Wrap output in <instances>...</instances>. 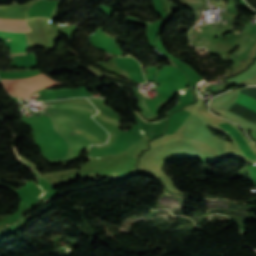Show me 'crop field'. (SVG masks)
<instances>
[{"label": "crop field", "mask_w": 256, "mask_h": 256, "mask_svg": "<svg viewBox=\"0 0 256 256\" xmlns=\"http://www.w3.org/2000/svg\"><path fill=\"white\" fill-rule=\"evenodd\" d=\"M5 89L11 94L29 99L31 94L47 86L56 85L52 79L44 74L21 80H1Z\"/></svg>", "instance_id": "8a807250"}, {"label": "crop field", "mask_w": 256, "mask_h": 256, "mask_svg": "<svg viewBox=\"0 0 256 256\" xmlns=\"http://www.w3.org/2000/svg\"><path fill=\"white\" fill-rule=\"evenodd\" d=\"M116 64L127 71L132 81L144 82L145 79L142 75L139 63L131 57H119L115 59Z\"/></svg>", "instance_id": "ac0d7876"}, {"label": "crop field", "mask_w": 256, "mask_h": 256, "mask_svg": "<svg viewBox=\"0 0 256 256\" xmlns=\"http://www.w3.org/2000/svg\"><path fill=\"white\" fill-rule=\"evenodd\" d=\"M219 126H221L224 130H226L234 137L237 145L240 147V149L247 158L256 159V155L235 127L231 126L228 123L219 124Z\"/></svg>", "instance_id": "34b2d1b8"}, {"label": "crop field", "mask_w": 256, "mask_h": 256, "mask_svg": "<svg viewBox=\"0 0 256 256\" xmlns=\"http://www.w3.org/2000/svg\"><path fill=\"white\" fill-rule=\"evenodd\" d=\"M0 36L11 37L12 53L25 52L24 33L0 31ZM24 54V53H19Z\"/></svg>", "instance_id": "412701ff"}, {"label": "crop field", "mask_w": 256, "mask_h": 256, "mask_svg": "<svg viewBox=\"0 0 256 256\" xmlns=\"http://www.w3.org/2000/svg\"><path fill=\"white\" fill-rule=\"evenodd\" d=\"M22 121L27 123L29 126L33 128V137L35 140V143L40 147L42 153H47L46 148L43 142V138L40 132V128L37 122L36 117H22Z\"/></svg>", "instance_id": "f4fd0767"}, {"label": "crop field", "mask_w": 256, "mask_h": 256, "mask_svg": "<svg viewBox=\"0 0 256 256\" xmlns=\"http://www.w3.org/2000/svg\"><path fill=\"white\" fill-rule=\"evenodd\" d=\"M0 29L10 31H27L29 28L25 20L19 19H0Z\"/></svg>", "instance_id": "dd49c442"}, {"label": "crop field", "mask_w": 256, "mask_h": 256, "mask_svg": "<svg viewBox=\"0 0 256 256\" xmlns=\"http://www.w3.org/2000/svg\"><path fill=\"white\" fill-rule=\"evenodd\" d=\"M237 101H240V102L246 104L247 106L256 110V97H254V96H251V95L241 91L237 98Z\"/></svg>", "instance_id": "e52e79f7"}]
</instances>
